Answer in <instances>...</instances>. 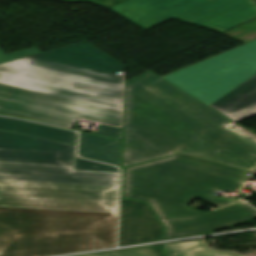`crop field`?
<instances>
[{"instance_id": "8a807250", "label": "crop field", "mask_w": 256, "mask_h": 256, "mask_svg": "<svg viewBox=\"0 0 256 256\" xmlns=\"http://www.w3.org/2000/svg\"><path fill=\"white\" fill-rule=\"evenodd\" d=\"M125 66L88 42L0 65V114L71 128L79 119L119 126Z\"/></svg>"}, {"instance_id": "ac0d7876", "label": "crop field", "mask_w": 256, "mask_h": 256, "mask_svg": "<svg viewBox=\"0 0 256 256\" xmlns=\"http://www.w3.org/2000/svg\"><path fill=\"white\" fill-rule=\"evenodd\" d=\"M232 120L151 71L125 82L122 167L176 154L256 171V144Z\"/></svg>"}, {"instance_id": "34b2d1b8", "label": "crop field", "mask_w": 256, "mask_h": 256, "mask_svg": "<svg viewBox=\"0 0 256 256\" xmlns=\"http://www.w3.org/2000/svg\"><path fill=\"white\" fill-rule=\"evenodd\" d=\"M75 147L0 130V206L117 213L119 173L74 170Z\"/></svg>"}, {"instance_id": "412701ff", "label": "crop field", "mask_w": 256, "mask_h": 256, "mask_svg": "<svg viewBox=\"0 0 256 256\" xmlns=\"http://www.w3.org/2000/svg\"><path fill=\"white\" fill-rule=\"evenodd\" d=\"M124 171L123 198L151 204L167 228L163 239L211 232L256 217V209L244 201L207 213L186 208L195 198L219 207L236 201L213 192L237 191L249 170L181 154Z\"/></svg>"}, {"instance_id": "f4fd0767", "label": "crop field", "mask_w": 256, "mask_h": 256, "mask_svg": "<svg viewBox=\"0 0 256 256\" xmlns=\"http://www.w3.org/2000/svg\"><path fill=\"white\" fill-rule=\"evenodd\" d=\"M117 214L0 207V256H49L115 246Z\"/></svg>"}, {"instance_id": "dd49c442", "label": "crop field", "mask_w": 256, "mask_h": 256, "mask_svg": "<svg viewBox=\"0 0 256 256\" xmlns=\"http://www.w3.org/2000/svg\"><path fill=\"white\" fill-rule=\"evenodd\" d=\"M109 8L145 28L174 17L223 32L256 17L251 0H125Z\"/></svg>"}, {"instance_id": "e52e79f7", "label": "crop field", "mask_w": 256, "mask_h": 256, "mask_svg": "<svg viewBox=\"0 0 256 256\" xmlns=\"http://www.w3.org/2000/svg\"><path fill=\"white\" fill-rule=\"evenodd\" d=\"M256 74V41L163 77L209 105Z\"/></svg>"}, {"instance_id": "d8731c3e", "label": "crop field", "mask_w": 256, "mask_h": 256, "mask_svg": "<svg viewBox=\"0 0 256 256\" xmlns=\"http://www.w3.org/2000/svg\"><path fill=\"white\" fill-rule=\"evenodd\" d=\"M163 231L147 203L121 200L119 245L160 239Z\"/></svg>"}, {"instance_id": "5a996713", "label": "crop field", "mask_w": 256, "mask_h": 256, "mask_svg": "<svg viewBox=\"0 0 256 256\" xmlns=\"http://www.w3.org/2000/svg\"><path fill=\"white\" fill-rule=\"evenodd\" d=\"M209 106L234 121L256 114V75Z\"/></svg>"}, {"instance_id": "3316defc", "label": "crop field", "mask_w": 256, "mask_h": 256, "mask_svg": "<svg viewBox=\"0 0 256 256\" xmlns=\"http://www.w3.org/2000/svg\"><path fill=\"white\" fill-rule=\"evenodd\" d=\"M0 129L74 145L77 141L73 131L6 117H0Z\"/></svg>"}, {"instance_id": "28ad6ade", "label": "crop field", "mask_w": 256, "mask_h": 256, "mask_svg": "<svg viewBox=\"0 0 256 256\" xmlns=\"http://www.w3.org/2000/svg\"><path fill=\"white\" fill-rule=\"evenodd\" d=\"M120 141L80 132L79 156L118 165Z\"/></svg>"}, {"instance_id": "d1516ede", "label": "crop field", "mask_w": 256, "mask_h": 256, "mask_svg": "<svg viewBox=\"0 0 256 256\" xmlns=\"http://www.w3.org/2000/svg\"><path fill=\"white\" fill-rule=\"evenodd\" d=\"M168 256H240L206 247L203 240L164 245Z\"/></svg>"}, {"instance_id": "22f410ed", "label": "crop field", "mask_w": 256, "mask_h": 256, "mask_svg": "<svg viewBox=\"0 0 256 256\" xmlns=\"http://www.w3.org/2000/svg\"><path fill=\"white\" fill-rule=\"evenodd\" d=\"M81 256H165L160 245L94 253Z\"/></svg>"}, {"instance_id": "cbeb9de0", "label": "crop field", "mask_w": 256, "mask_h": 256, "mask_svg": "<svg viewBox=\"0 0 256 256\" xmlns=\"http://www.w3.org/2000/svg\"><path fill=\"white\" fill-rule=\"evenodd\" d=\"M75 169L77 170H101V171H113L118 172L117 168L88 161L85 159L77 158L76 157V163H75Z\"/></svg>"}, {"instance_id": "5142ce71", "label": "crop field", "mask_w": 256, "mask_h": 256, "mask_svg": "<svg viewBox=\"0 0 256 256\" xmlns=\"http://www.w3.org/2000/svg\"><path fill=\"white\" fill-rule=\"evenodd\" d=\"M37 53H41V51L38 50L36 47L10 53L8 55H5L3 51L0 49V63L8 62L11 60L19 59V58L30 56Z\"/></svg>"}, {"instance_id": "d9b57169", "label": "crop field", "mask_w": 256, "mask_h": 256, "mask_svg": "<svg viewBox=\"0 0 256 256\" xmlns=\"http://www.w3.org/2000/svg\"><path fill=\"white\" fill-rule=\"evenodd\" d=\"M96 129H98L96 132L92 131L93 134L121 139V128H115V127L99 124L96 127Z\"/></svg>"}, {"instance_id": "733c2abd", "label": "crop field", "mask_w": 256, "mask_h": 256, "mask_svg": "<svg viewBox=\"0 0 256 256\" xmlns=\"http://www.w3.org/2000/svg\"><path fill=\"white\" fill-rule=\"evenodd\" d=\"M225 129L235 131L243 136L249 137L252 141L256 142L255 135H253L252 133H250L249 131H247L246 129H244L243 127H241L235 122H232L231 124H229L227 127H225Z\"/></svg>"}, {"instance_id": "4a817a6b", "label": "crop field", "mask_w": 256, "mask_h": 256, "mask_svg": "<svg viewBox=\"0 0 256 256\" xmlns=\"http://www.w3.org/2000/svg\"><path fill=\"white\" fill-rule=\"evenodd\" d=\"M3 78L1 75H0V79Z\"/></svg>"}]
</instances>
